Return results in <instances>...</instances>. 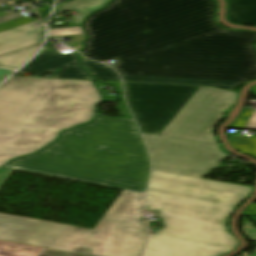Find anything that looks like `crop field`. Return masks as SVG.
<instances>
[{
  "instance_id": "8a807250",
  "label": "crop field",
  "mask_w": 256,
  "mask_h": 256,
  "mask_svg": "<svg viewBox=\"0 0 256 256\" xmlns=\"http://www.w3.org/2000/svg\"><path fill=\"white\" fill-rule=\"evenodd\" d=\"M83 27L80 53L112 58L123 81L233 90L256 79V33L220 28L213 0H114Z\"/></svg>"
},
{
  "instance_id": "ac0d7876",
  "label": "crop field",
  "mask_w": 256,
  "mask_h": 256,
  "mask_svg": "<svg viewBox=\"0 0 256 256\" xmlns=\"http://www.w3.org/2000/svg\"><path fill=\"white\" fill-rule=\"evenodd\" d=\"M4 167L142 193L150 172L134 121L98 116Z\"/></svg>"
},
{
  "instance_id": "34b2d1b8",
  "label": "crop field",
  "mask_w": 256,
  "mask_h": 256,
  "mask_svg": "<svg viewBox=\"0 0 256 256\" xmlns=\"http://www.w3.org/2000/svg\"><path fill=\"white\" fill-rule=\"evenodd\" d=\"M99 101L91 82L11 77L0 86V167L90 121Z\"/></svg>"
},
{
  "instance_id": "412701ff",
  "label": "crop field",
  "mask_w": 256,
  "mask_h": 256,
  "mask_svg": "<svg viewBox=\"0 0 256 256\" xmlns=\"http://www.w3.org/2000/svg\"><path fill=\"white\" fill-rule=\"evenodd\" d=\"M237 93L200 87L158 135L142 133L152 169L202 178L229 155L221 152L211 133Z\"/></svg>"
},
{
  "instance_id": "f4fd0767",
  "label": "crop field",
  "mask_w": 256,
  "mask_h": 256,
  "mask_svg": "<svg viewBox=\"0 0 256 256\" xmlns=\"http://www.w3.org/2000/svg\"><path fill=\"white\" fill-rule=\"evenodd\" d=\"M146 198L179 221L150 235L144 256H221L239 246L225 229L232 210L149 194Z\"/></svg>"
},
{
  "instance_id": "dd49c442",
  "label": "crop field",
  "mask_w": 256,
  "mask_h": 256,
  "mask_svg": "<svg viewBox=\"0 0 256 256\" xmlns=\"http://www.w3.org/2000/svg\"><path fill=\"white\" fill-rule=\"evenodd\" d=\"M127 103L145 133L158 134L199 87L123 83Z\"/></svg>"
},
{
  "instance_id": "e52e79f7",
  "label": "crop field",
  "mask_w": 256,
  "mask_h": 256,
  "mask_svg": "<svg viewBox=\"0 0 256 256\" xmlns=\"http://www.w3.org/2000/svg\"><path fill=\"white\" fill-rule=\"evenodd\" d=\"M253 188L152 171L147 193L233 209Z\"/></svg>"
},
{
  "instance_id": "d8731c3e",
  "label": "crop field",
  "mask_w": 256,
  "mask_h": 256,
  "mask_svg": "<svg viewBox=\"0 0 256 256\" xmlns=\"http://www.w3.org/2000/svg\"><path fill=\"white\" fill-rule=\"evenodd\" d=\"M144 194L125 191L110 206L102 220L116 222L104 256H141L147 238L146 228H135L134 223Z\"/></svg>"
},
{
  "instance_id": "5a996713",
  "label": "crop field",
  "mask_w": 256,
  "mask_h": 256,
  "mask_svg": "<svg viewBox=\"0 0 256 256\" xmlns=\"http://www.w3.org/2000/svg\"><path fill=\"white\" fill-rule=\"evenodd\" d=\"M69 225L0 213V239L52 249Z\"/></svg>"
},
{
  "instance_id": "3316defc",
  "label": "crop field",
  "mask_w": 256,
  "mask_h": 256,
  "mask_svg": "<svg viewBox=\"0 0 256 256\" xmlns=\"http://www.w3.org/2000/svg\"><path fill=\"white\" fill-rule=\"evenodd\" d=\"M113 225L100 221L93 231L70 226L54 248L103 256Z\"/></svg>"
},
{
  "instance_id": "28ad6ade",
  "label": "crop field",
  "mask_w": 256,
  "mask_h": 256,
  "mask_svg": "<svg viewBox=\"0 0 256 256\" xmlns=\"http://www.w3.org/2000/svg\"><path fill=\"white\" fill-rule=\"evenodd\" d=\"M54 78L93 80L92 77L79 66L77 53H51L37 55L22 70L40 75L58 70Z\"/></svg>"
},
{
  "instance_id": "d1516ede",
  "label": "crop field",
  "mask_w": 256,
  "mask_h": 256,
  "mask_svg": "<svg viewBox=\"0 0 256 256\" xmlns=\"http://www.w3.org/2000/svg\"><path fill=\"white\" fill-rule=\"evenodd\" d=\"M33 23L1 32L0 55L40 42L43 27L35 28Z\"/></svg>"
},
{
  "instance_id": "22f410ed",
  "label": "crop field",
  "mask_w": 256,
  "mask_h": 256,
  "mask_svg": "<svg viewBox=\"0 0 256 256\" xmlns=\"http://www.w3.org/2000/svg\"><path fill=\"white\" fill-rule=\"evenodd\" d=\"M227 2L229 22L256 26V0H227Z\"/></svg>"
},
{
  "instance_id": "cbeb9de0",
  "label": "crop field",
  "mask_w": 256,
  "mask_h": 256,
  "mask_svg": "<svg viewBox=\"0 0 256 256\" xmlns=\"http://www.w3.org/2000/svg\"><path fill=\"white\" fill-rule=\"evenodd\" d=\"M111 0H76L61 6H58L54 14L73 9L79 16L72 19L81 25L83 19L90 13L105 6V3ZM53 14V15H54Z\"/></svg>"
},
{
  "instance_id": "5142ce71",
  "label": "crop field",
  "mask_w": 256,
  "mask_h": 256,
  "mask_svg": "<svg viewBox=\"0 0 256 256\" xmlns=\"http://www.w3.org/2000/svg\"><path fill=\"white\" fill-rule=\"evenodd\" d=\"M43 248L0 240V256H40Z\"/></svg>"
},
{
  "instance_id": "d9b57169",
  "label": "crop field",
  "mask_w": 256,
  "mask_h": 256,
  "mask_svg": "<svg viewBox=\"0 0 256 256\" xmlns=\"http://www.w3.org/2000/svg\"><path fill=\"white\" fill-rule=\"evenodd\" d=\"M80 59L83 67L93 74L95 80L120 81L117 73L105 65L85 59L82 56Z\"/></svg>"
},
{
  "instance_id": "733c2abd",
  "label": "crop field",
  "mask_w": 256,
  "mask_h": 256,
  "mask_svg": "<svg viewBox=\"0 0 256 256\" xmlns=\"http://www.w3.org/2000/svg\"><path fill=\"white\" fill-rule=\"evenodd\" d=\"M39 45L0 57V67L12 69L20 67L35 52Z\"/></svg>"
},
{
  "instance_id": "4a817a6b",
  "label": "crop field",
  "mask_w": 256,
  "mask_h": 256,
  "mask_svg": "<svg viewBox=\"0 0 256 256\" xmlns=\"http://www.w3.org/2000/svg\"><path fill=\"white\" fill-rule=\"evenodd\" d=\"M229 141L236 150L256 157V136L229 137Z\"/></svg>"
},
{
  "instance_id": "bc2a9ffb",
  "label": "crop field",
  "mask_w": 256,
  "mask_h": 256,
  "mask_svg": "<svg viewBox=\"0 0 256 256\" xmlns=\"http://www.w3.org/2000/svg\"><path fill=\"white\" fill-rule=\"evenodd\" d=\"M108 84L116 86L118 98H121V100H122V103L118 106V109L122 110L121 117L133 119L130 111L128 110V108L124 102L120 83L108 82Z\"/></svg>"
},
{
  "instance_id": "214f88e0",
  "label": "crop field",
  "mask_w": 256,
  "mask_h": 256,
  "mask_svg": "<svg viewBox=\"0 0 256 256\" xmlns=\"http://www.w3.org/2000/svg\"><path fill=\"white\" fill-rule=\"evenodd\" d=\"M252 112V109L245 108L236 121L227 128L243 129Z\"/></svg>"
},
{
  "instance_id": "92a150f3",
  "label": "crop field",
  "mask_w": 256,
  "mask_h": 256,
  "mask_svg": "<svg viewBox=\"0 0 256 256\" xmlns=\"http://www.w3.org/2000/svg\"><path fill=\"white\" fill-rule=\"evenodd\" d=\"M29 22H32V21L25 17H21V18H17V19L11 20V21L1 23L0 24V32L10 29V28H14V27L26 24V23H29Z\"/></svg>"
},
{
  "instance_id": "dafd665d",
  "label": "crop field",
  "mask_w": 256,
  "mask_h": 256,
  "mask_svg": "<svg viewBox=\"0 0 256 256\" xmlns=\"http://www.w3.org/2000/svg\"><path fill=\"white\" fill-rule=\"evenodd\" d=\"M78 33H83L80 26L68 28V29H49V35L51 36L78 34Z\"/></svg>"
},
{
  "instance_id": "00972430",
  "label": "crop field",
  "mask_w": 256,
  "mask_h": 256,
  "mask_svg": "<svg viewBox=\"0 0 256 256\" xmlns=\"http://www.w3.org/2000/svg\"><path fill=\"white\" fill-rule=\"evenodd\" d=\"M243 232L253 241H256V228L243 225ZM252 256H256V250Z\"/></svg>"
},
{
  "instance_id": "a9b5d70f",
  "label": "crop field",
  "mask_w": 256,
  "mask_h": 256,
  "mask_svg": "<svg viewBox=\"0 0 256 256\" xmlns=\"http://www.w3.org/2000/svg\"><path fill=\"white\" fill-rule=\"evenodd\" d=\"M244 129L256 130V110H254Z\"/></svg>"
},
{
  "instance_id": "4177f3b9",
  "label": "crop field",
  "mask_w": 256,
  "mask_h": 256,
  "mask_svg": "<svg viewBox=\"0 0 256 256\" xmlns=\"http://www.w3.org/2000/svg\"><path fill=\"white\" fill-rule=\"evenodd\" d=\"M13 170L2 168L0 169V186L7 179V177L12 173Z\"/></svg>"
},
{
  "instance_id": "730fd06b",
  "label": "crop field",
  "mask_w": 256,
  "mask_h": 256,
  "mask_svg": "<svg viewBox=\"0 0 256 256\" xmlns=\"http://www.w3.org/2000/svg\"><path fill=\"white\" fill-rule=\"evenodd\" d=\"M159 215L162 217L165 226H168V225L174 223L175 221H177L174 218H172V217H170V216H168V215H166V214H164L160 211H159Z\"/></svg>"
},
{
  "instance_id": "eef30255",
  "label": "crop field",
  "mask_w": 256,
  "mask_h": 256,
  "mask_svg": "<svg viewBox=\"0 0 256 256\" xmlns=\"http://www.w3.org/2000/svg\"><path fill=\"white\" fill-rule=\"evenodd\" d=\"M96 84H97L98 89L101 91V93L103 95V98H104L103 102H114V101L117 100L116 98H109V97H107L105 92H104V90L100 89V86H103L102 82H96Z\"/></svg>"
},
{
  "instance_id": "ae1a2a85",
  "label": "crop field",
  "mask_w": 256,
  "mask_h": 256,
  "mask_svg": "<svg viewBox=\"0 0 256 256\" xmlns=\"http://www.w3.org/2000/svg\"><path fill=\"white\" fill-rule=\"evenodd\" d=\"M142 210L143 209L140 210V213L138 215L137 221L135 223V227H146L144 219H143V216H142Z\"/></svg>"
},
{
  "instance_id": "d3111659",
  "label": "crop field",
  "mask_w": 256,
  "mask_h": 256,
  "mask_svg": "<svg viewBox=\"0 0 256 256\" xmlns=\"http://www.w3.org/2000/svg\"><path fill=\"white\" fill-rule=\"evenodd\" d=\"M17 17H21V15L16 13V12H14V13L9 14L7 16L1 17L0 18V23L4 22V21H7V20H11V19L17 18Z\"/></svg>"
},
{
  "instance_id": "750c4746",
  "label": "crop field",
  "mask_w": 256,
  "mask_h": 256,
  "mask_svg": "<svg viewBox=\"0 0 256 256\" xmlns=\"http://www.w3.org/2000/svg\"><path fill=\"white\" fill-rule=\"evenodd\" d=\"M12 72L13 71L0 69V81H2L5 77H7Z\"/></svg>"
},
{
  "instance_id": "bd1437ed",
  "label": "crop field",
  "mask_w": 256,
  "mask_h": 256,
  "mask_svg": "<svg viewBox=\"0 0 256 256\" xmlns=\"http://www.w3.org/2000/svg\"><path fill=\"white\" fill-rule=\"evenodd\" d=\"M245 213H249L256 216V204L250 205L249 208L245 211Z\"/></svg>"
},
{
  "instance_id": "1d83c4d3",
  "label": "crop field",
  "mask_w": 256,
  "mask_h": 256,
  "mask_svg": "<svg viewBox=\"0 0 256 256\" xmlns=\"http://www.w3.org/2000/svg\"><path fill=\"white\" fill-rule=\"evenodd\" d=\"M156 208L146 199L145 210H155Z\"/></svg>"
},
{
  "instance_id": "120bbe31",
  "label": "crop field",
  "mask_w": 256,
  "mask_h": 256,
  "mask_svg": "<svg viewBox=\"0 0 256 256\" xmlns=\"http://www.w3.org/2000/svg\"><path fill=\"white\" fill-rule=\"evenodd\" d=\"M8 7H10V6L0 7V11H2V10H4V9H6V8H8Z\"/></svg>"
},
{
  "instance_id": "d32e631a",
  "label": "crop field",
  "mask_w": 256,
  "mask_h": 256,
  "mask_svg": "<svg viewBox=\"0 0 256 256\" xmlns=\"http://www.w3.org/2000/svg\"><path fill=\"white\" fill-rule=\"evenodd\" d=\"M253 93L256 95V86L252 89Z\"/></svg>"
},
{
  "instance_id": "5866460e",
  "label": "crop field",
  "mask_w": 256,
  "mask_h": 256,
  "mask_svg": "<svg viewBox=\"0 0 256 256\" xmlns=\"http://www.w3.org/2000/svg\"><path fill=\"white\" fill-rule=\"evenodd\" d=\"M1 2L7 1V0H0Z\"/></svg>"
},
{
  "instance_id": "028f5c9d",
  "label": "crop field",
  "mask_w": 256,
  "mask_h": 256,
  "mask_svg": "<svg viewBox=\"0 0 256 256\" xmlns=\"http://www.w3.org/2000/svg\"><path fill=\"white\" fill-rule=\"evenodd\" d=\"M0 4H2V3H0Z\"/></svg>"
}]
</instances>
